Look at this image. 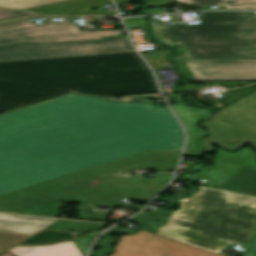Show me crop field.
Returning <instances> with one entry per match:
<instances>
[{
    "mask_svg": "<svg viewBox=\"0 0 256 256\" xmlns=\"http://www.w3.org/2000/svg\"><path fill=\"white\" fill-rule=\"evenodd\" d=\"M182 144L168 109L72 94L0 116V195Z\"/></svg>",
    "mask_w": 256,
    "mask_h": 256,
    "instance_id": "8a807250",
    "label": "crop field"
},
{
    "mask_svg": "<svg viewBox=\"0 0 256 256\" xmlns=\"http://www.w3.org/2000/svg\"><path fill=\"white\" fill-rule=\"evenodd\" d=\"M72 91L111 97L158 89L136 52L0 63V111Z\"/></svg>",
    "mask_w": 256,
    "mask_h": 256,
    "instance_id": "ac0d7876",
    "label": "crop field"
},
{
    "mask_svg": "<svg viewBox=\"0 0 256 256\" xmlns=\"http://www.w3.org/2000/svg\"><path fill=\"white\" fill-rule=\"evenodd\" d=\"M177 150L139 153L0 196V212L56 217L62 201L142 209L121 198L149 201L173 174L120 175L135 168L175 170Z\"/></svg>",
    "mask_w": 256,
    "mask_h": 256,
    "instance_id": "34b2d1b8",
    "label": "crop field"
},
{
    "mask_svg": "<svg viewBox=\"0 0 256 256\" xmlns=\"http://www.w3.org/2000/svg\"><path fill=\"white\" fill-rule=\"evenodd\" d=\"M179 199L157 235L219 254L232 243L248 246L256 226V196L199 187Z\"/></svg>",
    "mask_w": 256,
    "mask_h": 256,
    "instance_id": "412701ff",
    "label": "crop field"
},
{
    "mask_svg": "<svg viewBox=\"0 0 256 256\" xmlns=\"http://www.w3.org/2000/svg\"><path fill=\"white\" fill-rule=\"evenodd\" d=\"M199 14L197 25H153V35L185 51L171 58H256V13Z\"/></svg>",
    "mask_w": 256,
    "mask_h": 256,
    "instance_id": "f4fd0767",
    "label": "crop field"
},
{
    "mask_svg": "<svg viewBox=\"0 0 256 256\" xmlns=\"http://www.w3.org/2000/svg\"><path fill=\"white\" fill-rule=\"evenodd\" d=\"M117 35H122L121 30L80 31L73 23L35 25L28 18L0 23V46L15 43L100 40Z\"/></svg>",
    "mask_w": 256,
    "mask_h": 256,
    "instance_id": "dd49c442",
    "label": "crop field"
},
{
    "mask_svg": "<svg viewBox=\"0 0 256 256\" xmlns=\"http://www.w3.org/2000/svg\"><path fill=\"white\" fill-rule=\"evenodd\" d=\"M134 51L124 37L105 41L15 44L0 47V62Z\"/></svg>",
    "mask_w": 256,
    "mask_h": 256,
    "instance_id": "e52e79f7",
    "label": "crop field"
},
{
    "mask_svg": "<svg viewBox=\"0 0 256 256\" xmlns=\"http://www.w3.org/2000/svg\"><path fill=\"white\" fill-rule=\"evenodd\" d=\"M197 80L256 79V60H184Z\"/></svg>",
    "mask_w": 256,
    "mask_h": 256,
    "instance_id": "d8731c3e",
    "label": "crop field"
},
{
    "mask_svg": "<svg viewBox=\"0 0 256 256\" xmlns=\"http://www.w3.org/2000/svg\"><path fill=\"white\" fill-rule=\"evenodd\" d=\"M77 237L71 232L42 229L33 235L0 232V254L16 245H51L62 241H74Z\"/></svg>",
    "mask_w": 256,
    "mask_h": 256,
    "instance_id": "5a996713",
    "label": "crop field"
},
{
    "mask_svg": "<svg viewBox=\"0 0 256 256\" xmlns=\"http://www.w3.org/2000/svg\"><path fill=\"white\" fill-rule=\"evenodd\" d=\"M55 219L0 214V231L33 234Z\"/></svg>",
    "mask_w": 256,
    "mask_h": 256,
    "instance_id": "3316defc",
    "label": "crop field"
},
{
    "mask_svg": "<svg viewBox=\"0 0 256 256\" xmlns=\"http://www.w3.org/2000/svg\"><path fill=\"white\" fill-rule=\"evenodd\" d=\"M223 112L220 111L216 114L215 118L210 122L206 123L207 127L213 130L215 133L209 137L211 139L220 140L222 144L231 147L226 141H234L243 139L244 141H252L256 143V137L243 132L225 122L222 121Z\"/></svg>",
    "mask_w": 256,
    "mask_h": 256,
    "instance_id": "28ad6ade",
    "label": "crop field"
},
{
    "mask_svg": "<svg viewBox=\"0 0 256 256\" xmlns=\"http://www.w3.org/2000/svg\"><path fill=\"white\" fill-rule=\"evenodd\" d=\"M9 252L17 256H82L73 242L53 246L17 247Z\"/></svg>",
    "mask_w": 256,
    "mask_h": 256,
    "instance_id": "d1516ede",
    "label": "crop field"
},
{
    "mask_svg": "<svg viewBox=\"0 0 256 256\" xmlns=\"http://www.w3.org/2000/svg\"><path fill=\"white\" fill-rule=\"evenodd\" d=\"M212 163L256 169V151L251 152V148H245L242 151L230 153L219 149Z\"/></svg>",
    "mask_w": 256,
    "mask_h": 256,
    "instance_id": "22f410ed",
    "label": "crop field"
},
{
    "mask_svg": "<svg viewBox=\"0 0 256 256\" xmlns=\"http://www.w3.org/2000/svg\"><path fill=\"white\" fill-rule=\"evenodd\" d=\"M109 3H111L110 0H69V1L59 2V3L29 8L25 10L56 14V13L94 7V6H99V5L109 4Z\"/></svg>",
    "mask_w": 256,
    "mask_h": 256,
    "instance_id": "cbeb9de0",
    "label": "crop field"
},
{
    "mask_svg": "<svg viewBox=\"0 0 256 256\" xmlns=\"http://www.w3.org/2000/svg\"><path fill=\"white\" fill-rule=\"evenodd\" d=\"M171 108L183 123L188 133L206 132L198 129L196 127V123L209 117L208 110L189 108L184 106L182 103L171 106Z\"/></svg>",
    "mask_w": 256,
    "mask_h": 256,
    "instance_id": "5142ce71",
    "label": "crop field"
},
{
    "mask_svg": "<svg viewBox=\"0 0 256 256\" xmlns=\"http://www.w3.org/2000/svg\"><path fill=\"white\" fill-rule=\"evenodd\" d=\"M221 188L256 195V170L242 168Z\"/></svg>",
    "mask_w": 256,
    "mask_h": 256,
    "instance_id": "d9b57169",
    "label": "crop field"
},
{
    "mask_svg": "<svg viewBox=\"0 0 256 256\" xmlns=\"http://www.w3.org/2000/svg\"><path fill=\"white\" fill-rule=\"evenodd\" d=\"M237 168L217 165L210 170L200 169V173L195 175L197 179L223 182L229 175H231Z\"/></svg>",
    "mask_w": 256,
    "mask_h": 256,
    "instance_id": "733c2abd",
    "label": "crop field"
},
{
    "mask_svg": "<svg viewBox=\"0 0 256 256\" xmlns=\"http://www.w3.org/2000/svg\"><path fill=\"white\" fill-rule=\"evenodd\" d=\"M64 0H0V6L24 9Z\"/></svg>",
    "mask_w": 256,
    "mask_h": 256,
    "instance_id": "4a817a6b",
    "label": "crop field"
},
{
    "mask_svg": "<svg viewBox=\"0 0 256 256\" xmlns=\"http://www.w3.org/2000/svg\"><path fill=\"white\" fill-rule=\"evenodd\" d=\"M225 9L256 10V0H224Z\"/></svg>",
    "mask_w": 256,
    "mask_h": 256,
    "instance_id": "bc2a9ffb",
    "label": "crop field"
},
{
    "mask_svg": "<svg viewBox=\"0 0 256 256\" xmlns=\"http://www.w3.org/2000/svg\"><path fill=\"white\" fill-rule=\"evenodd\" d=\"M98 232H100V231H96V232L81 236L74 241L77 248L79 249V251L81 252V254L83 256L86 255V253L89 249V241H92L95 238L94 234H96Z\"/></svg>",
    "mask_w": 256,
    "mask_h": 256,
    "instance_id": "214f88e0",
    "label": "crop field"
},
{
    "mask_svg": "<svg viewBox=\"0 0 256 256\" xmlns=\"http://www.w3.org/2000/svg\"><path fill=\"white\" fill-rule=\"evenodd\" d=\"M201 135H204V134L188 135V142H187V147L184 155L199 156L200 147L197 145L196 141Z\"/></svg>",
    "mask_w": 256,
    "mask_h": 256,
    "instance_id": "92a150f3",
    "label": "crop field"
},
{
    "mask_svg": "<svg viewBox=\"0 0 256 256\" xmlns=\"http://www.w3.org/2000/svg\"><path fill=\"white\" fill-rule=\"evenodd\" d=\"M191 6H217L223 5V0H175Z\"/></svg>",
    "mask_w": 256,
    "mask_h": 256,
    "instance_id": "dafd665d",
    "label": "crop field"
},
{
    "mask_svg": "<svg viewBox=\"0 0 256 256\" xmlns=\"http://www.w3.org/2000/svg\"><path fill=\"white\" fill-rule=\"evenodd\" d=\"M27 15H41V14H35V13L22 12V11L0 8V20L22 17V16H27Z\"/></svg>",
    "mask_w": 256,
    "mask_h": 256,
    "instance_id": "00972430",
    "label": "crop field"
},
{
    "mask_svg": "<svg viewBox=\"0 0 256 256\" xmlns=\"http://www.w3.org/2000/svg\"><path fill=\"white\" fill-rule=\"evenodd\" d=\"M241 256H256V229L249 246Z\"/></svg>",
    "mask_w": 256,
    "mask_h": 256,
    "instance_id": "a9b5d70f",
    "label": "crop field"
},
{
    "mask_svg": "<svg viewBox=\"0 0 256 256\" xmlns=\"http://www.w3.org/2000/svg\"><path fill=\"white\" fill-rule=\"evenodd\" d=\"M175 62H177L180 66V72H182L184 75L188 76L190 80H196L194 75L186 68L183 59H174Z\"/></svg>",
    "mask_w": 256,
    "mask_h": 256,
    "instance_id": "4177f3b9",
    "label": "crop field"
},
{
    "mask_svg": "<svg viewBox=\"0 0 256 256\" xmlns=\"http://www.w3.org/2000/svg\"><path fill=\"white\" fill-rule=\"evenodd\" d=\"M124 22H125L128 29H130L132 27H135V26H138L142 23H145L142 18L125 19Z\"/></svg>",
    "mask_w": 256,
    "mask_h": 256,
    "instance_id": "730fd06b",
    "label": "crop field"
},
{
    "mask_svg": "<svg viewBox=\"0 0 256 256\" xmlns=\"http://www.w3.org/2000/svg\"><path fill=\"white\" fill-rule=\"evenodd\" d=\"M104 12L99 13L98 10H89V11H76L68 14H63V15H103Z\"/></svg>",
    "mask_w": 256,
    "mask_h": 256,
    "instance_id": "eef30255",
    "label": "crop field"
},
{
    "mask_svg": "<svg viewBox=\"0 0 256 256\" xmlns=\"http://www.w3.org/2000/svg\"><path fill=\"white\" fill-rule=\"evenodd\" d=\"M154 5L153 6H161L166 4L169 0H151Z\"/></svg>",
    "mask_w": 256,
    "mask_h": 256,
    "instance_id": "ae1a2a85",
    "label": "crop field"
},
{
    "mask_svg": "<svg viewBox=\"0 0 256 256\" xmlns=\"http://www.w3.org/2000/svg\"><path fill=\"white\" fill-rule=\"evenodd\" d=\"M146 13L150 14V13H165V12L163 9H150V10H147Z\"/></svg>",
    "mask_w": 256,
    "mask_h": 256,
    "instance_id": "d3111659",
    "label": "crop field"
},
{
    "mask_svg": "<svg viewBox=\"0 0 256 256\" xmlns=\"http://www.w3.org/2000/svg\"><path fill=\"white\" fill-rule=\"evenodd\" d=\"M166 98H178L177 95H170V96H165Z\"/></svg>",
    "mask_w": 256,
    "mask_h": 256,
    "instance_id": "750c4746",
    "label": "crop field"
},
{
    "mask_svg": "<svg viewBox=\"0 0 256 256\" xmlns=\"http://www.w3.org/2000/svg\"><path fill=\"white\" fill-rule=\"evenodd\" d=\"M116 2H130L129 0H115Z\"/></svg>",
    "mask_w": 256,
    "mask_h": 256,
    "instance_id": "bd1437ed",
    "label": "crop field"
}]
</instances>
